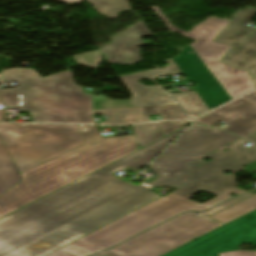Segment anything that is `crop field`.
Listing matches in <instances>:
<instances>
[{"label": "crop field", "instance_id": "eef30255", "mask_svg": "<svg viewBox=\"0 0 256 256\" xmlns=\"http://www.w3.org/2000/svg\"><path fill=\"white\" fill-rule=\"evenodd\" d=\"M219 256H256V252L236 251V252L219 254Z\"/></svg>", "mask_w": 256, "mask_h": 256}, {"label": "crop field", "instance_id": "d1516ede", "mask_svg": "<svg viewBox=\"0 0 256 256\" xmlns=\"http://www.w3.org/2000/svg\"><path fill=\"white\" fill-rule=\"evenodd\" d=\"M164 61H168V66L165 69H153L119 77L133 95L129 100L131 107L177 104L168 93H162L164 87L144 86L136 82L142 78L153 80L157 75L181 73L172 60Z\"/></svg>", "mask_w": 256, "mask_h": 256}, {"label": "crop field", "instance_id": "733c2abd", "mask_svg": "<svg viewBox=\"0 0 256 256\" xmlns=\"http://www.w3.org/2000/svg\"><path fill=\"white\" fill-rule=\"evenodd\" d=\"M96 114L104 113L108 118L103 120V124L125 125L142 122V107L122 108V109H104L95 110ZM112 114H116L113 116Z\"/></svg>", "mask_w": 256, "mask_h": 256}, {"label": "crop field", "instance_id": "f4fd0767", "mask_svg": "<svg viewBox=\"0 0 256 256\" xmlns=\"http://www.w3.org/2000/svg\"><path fill=\"white\" fill-rule=\"evenodd\" d=\"M202 210V204L171 193L48 256H88L184 211Z\"/></svg>", "mask_w": 256, "mask_h": 256}, {"label": "crop field", "instance_id": "5142ce71", "mask_svg": "<svg viewBox=\"0 0 256 256\" xmlns=\"http://www.w3.org/2000/svg\"><path fill=\"white\" fill-rule=\"evenodd\" d=\"M187 128V127H185ZM185 128L164 137L142 149L135 152L134 154L100 170L110 176L112 173L123 167H132L134 169H139L153 160L179 133H181Z\"/></svg>", "mask_w": 256, "mask_h": 256}, {"label": "crop field", "instance_id": "dd49c442", "mask_svg": "<svg viewBox=\"0 0 256 256\" xmlns=\"http://www.w3.org/2000/svg\"><path fill=\"white\" fill-rule=\"evenodd\" d=\"M0 136L19 172L85 144L78 126L0 123Z\"/></svg>", "mask_w": 256, "mask_h": 256}, {"label": "crop field", "instance_id": "4a817a6b", "mask_svg": "<svg viewBox=\"0 0 256 256\" xmlns=\"http://www.w3.org/2000/svg\"><path fill=\"white\" fill-rule=\"evenodd\" d=\"M171 94L187 112L190 118L198 117L209 111L196 91Z\"/></svg>", "mask_w": 256, "mask_h": 256}, {"label": "crop field", "instance_id": "e52e79f7", "mask_svg": "<svg viewBox=\"0 0 256 256\" xmlns=\"http://www.w3.org/2000/svg\"><path fill=\"white\" fill-rule=\"evenodd\" d=\"M191 125L150 167L158 176L149 186L179 188L189 183L186 164L238 139L229 133Z\"/></svg>", "mask_w": 256, "mask_h": 256}, {"label": "crop field", "instance_id": "cbeb9de0", "mask_svg": "<svg viewBox=\"0 0 256 256\" xmlns=\"http://www.w3.org/2000/svg\"><path fill=\"white\" fill-rule=\"evenodd\" d=\"M151 33L143 21L134 24L125 32L112 39L107 47L98 49L100 54L108 55V63L111 64H133L142 60L136 46L143 45L140 36H150Z\"/></svg>", "mask_w": 256, "mask_h": 256}, {"label": "crop field", "instance_id": "d8731c3e", "mask_svg": "<svg viewBox=\"0 0 256 256\" xmlns=\"http://www.w3.org/2000/svg\"><path fill=\"white\" fill-rule=\"evenodd\" d=\"M246 143L240 139L224 147L228 149L225 152L220 151L224 149L222 148L188 164L191 183L173 193L189 198L196 192L205 191L217 196L237 185L234 175L228 177L222 172L256 171V148L243 146ZM206 157L212 160L208 162L202 160ZM243 166L249 168L245 170L241 168Z\"/></svg>", "mask_w": 256, "mask_h": 256}, {"label": "crop field", "instance_id": "92a150f3", "mask_svg": "<svg viewBox=\"0 0 256 256\" xmlns=\"http://www.w3.org/2000/svg\"><path fill=\"white\" fill-rule=\"evenodd\" d=\"M160 114L166 119H187L178 105L143 107V122L150 121L149 115Z\"/></svg>", "mask_w": 256, "mask_h": 256}, {"label": "crop field", "instance_id": "4177f3b9", "mask_svg": "<svg viewBox=\"0 0 256 256\" xmlns=\"http://www.w3.org/2000/svg\"><path fill=\"white\" fill-rule=\"evenodd\" d=\"M245 192H247V191L240 190V189H237V188L234 187L231 190L225 192L224 194L216 197L215 199L204 203L203 205H204L205 209H208V208H210V207H212V206H214V205H216V204H218V203L228 199L229 195L232 194V193L240 195V194H243Z\"/></svg>", "mask_w": 256, "mask_h": 256}, {"label": "crop field", "instance_id": "bc2a9ffb", "mask_svg": "<svg viewBox=\"0 0 256 256\" xmlns=\"http://www.w3.org/2000/svg\"><path fill=\"white\" fill-rule=\"evenodd\" d=\"M256 209V194L239 202L238 204L225 209L213 216L211 218L225 224L239 216L249 213Z\"/></svg>", "mask_w": 256, "mask_h": 256}, {"label": "crop field", "instance_id": "750c4746", "mask_svg": "<svg viewBox=\"0 0 256 256\" xmlns=\"http://www.w3.org/2000/svg\"><path fill=\"white\" fill-rule=\"evenodd\" d=\"M67 3H82V0H60Z\"/></svg>", "mask_w": 256, "mask_h": 256}, {"label": "crop field", "instance_id": "8a807250", "mask_svg": "<svg viewBox=\"0 0 256 256\" xmlns=\"http://www.w3.org/2000/svg\"><path fill=\"white\" fill-rule=\"evenodd\" d=\"M99 171L0 220V256H43L160 197Z\"/></svg>", "mask_w": 256, "mask_h": 256}, {"label": "crop field", "instance_id": "214f88e0", "mask_svg": "<svg viewBox=\"0 0 256 256\" xmlns=\"http://www.w3.org/2000/svg\"><path fill=\"white\" fill-rule=\"evenodd\" d=\"M131 128L139 147H144L164 137L157 123L134 125Z\"/></svg>", "mask_w": 256, "mask_h": 256}, {"label": "crop field", "instance_id": "d3111659", "mask_svg": "<svg viewBox=\"0 0 256 256\" xmlns=\"http://www.w3.org/2000/svg\"><path fill=\"white\" fill-rule=\"evenodd\" d=\"M244 138L256 144V132H254Z\"/></svg>", "mask_w": 256, "mask_h": 256}, {"label": "crop field", "instance_id": "dafd665d", "mask_svg": "<svg viewBox=\"0 0 256 256\" xmlns=\"http://www.w3.org/2000/svg\"><path fill=\"white\" fill-rule=\"evenodd\" d=\"M94 5V10L112 18H117L116 12L125 11L132 8L128 2L120 0H83Z\"/></svg>", "mask_w": 256, "mask_h": 256}, {"label": "crop field", "instance_id": "ac0d7876", "mask_svg": "<svg viewBox=\"0 0 256 256\" xmlns=\"http://www.w3.org/2000/svg\"><path fill=\"white\" fill-rule=\"evenodd\" d=\"M87 144L21 172L24 180L0 196V218L137 150L133 135L99 138L79 126Z\"/></svg>", "mask_w": 256, "mask_h": 256}, {"label": "crop field", "instance_id": "bd1437ed", "mask_svg": "<svg viewBox=\"0 0 256 256\" xmlns=\"http://www.w3.org/2000/svg\"><path fill=\"white\" fill-rule=\"evenodd\" d=\"M3 114H4V111H1V110H0V121H1L2 118H3Z\"/></svg>", "mask_w": 256, "mask_h": 256}, {"label": "crop field", "instance_id": "34b2d1b8", "mask_svg": "<svg viewBox=\"0 0 256 256\" xmlns=\"http://www.w3.org/2000/svg\"><path fill=\"white\" fill-rule=\"evenodd\" d=\"M171 32L196 40L172 59L210 109L256 89L247 71L218 62L231 48L212 41L228 24L210 17L189 33L173 27L157 7L152 8ZM192 50L193 54L188 51Z\"/></svg>", "mask_w": 256, "mask_h": 256}, {"label": "crop field", "instance_id": "730fd06b", "mask_svg": "<svg viewBox=\"0 0 256 256\" xmlns=\"http://www.w3.org/2000/svg\"><path fill=\"white\" fill-rule=\"evenodd\" d=\"M252 194H253V193H249V194L240 196V197H238V198H236V199L227 201V202H225V203H222V204H220V205L214 207L213 209H211V210H209V211H207V212H208V214H209V216H210V215H212V214H214V213H216V212H219V211H221V210H223V209H225V208H227V207H229V206H231V205H233V204H235V203H237V202H239V201L245 199L246 197H248V196H250V195H252Z\"/></svg>", "mask_w": 256, "mask_h": 256}, {"label": "crop field", "instance_id": "a9b5d70f", "mask_svg": "<svg viewBox=\"0 0 256 256\" xmlns=\"http://www.w3.org/2000/svg\"><path fill=\"white\" fill-rule=\"evenodd\" d=\"M189 123L190 122H188V121H169V122L158 123V125L160 126V128L162 129L163 133L166 136L174 131H177V130L185 127Z\"/></svg>", "mask_w": 256, "mask_h": 256}, {"label": "crop field", "instance_id": "28ad6ade", "mask_svg": "<svg viewBox=\"0 0 256 256\" xmlns=\"http://www.w3.org/2000/svg\"><path fill=\"white\" fill-rule=\"evenodd\" d=\"M255 16L254 8L238 9L214 41L234 46L220 62L248 70L256 84V30L246 25Z\"/></svg>", "mask_w": 256, "mask_h": 256}, {"label": "crop field", "instance_id": "22f410ed", "mask_svg": "<svg viewBox=\"0 0 256 256\" xmlns=\"http://www.w3.org/2000/svg\"><path fill=\"white\" fill-rule=\"evenodd\" d=\"M220 120L229 125L224 130L244 137L256 131V106L241 98L197 122L212 125Z\"/></svg>", "mask_w": 256, "mask_h": 256}, {"label": "crop field", "instance_id": "ae1a2a85", "mask_svg": "<svg viewBox=\"0 0 256 256\" xmlns=\"http://www.w3.org/2000/svg\"><path fill=\"white\" fill-rule=\"evenodd\" d=\"M244 99L256 104V92L246 96V97H243Z\"/></svg>", "mask_w": 256, "mask_h": 256}, {"label": "crop field", "instance_id": "d9b57169", "mask_svg": "<svg viewBox=\"0 0 256 256\" xmlns=\"http://www.w3.org/2000/svg\"><path fill=\"white\" fill-rule=\"evenodd\" d=\"M22 179L0 138V195Z\"/></svg>", "mask_w": 256, "mask_h": 256}, {"label": "crop field", "instance_id": "412701ff", "mask_svg": "<svg viewBox=\"0 0 256 256\" xmlns=\"http://www.w3.org/2000/svg\"><path fill=\"white\" fill-rule=\"evenodd\" d=\"M2 79L18 84L0 89L6 106L30 111L34 121L93 124L91 95L74 85L69 71L41 78L33 69H8Z\"/></svg>", "mask_w": 256, "mask_h": 256}, {"label": "crop field", "instance_id": "5a996713", "mask_svg": "<svg viewBox=\"0 0 256 256\" xmlns=\"http://www.w3.org/2000/svg\"><path fill=\"white\" fill-rule=\"evenodd\" d=\"M222 225L209 218L207 212L199 216L185 213L104 253L109 256H160Z\"/></svg>", "mask_w": 256, "mask_h": 256}, {"label": "crop field", "instance_id": "00972430", "mask_svg": "<svg viewBox=\"0 0 256 256\" xmlns=\"http://www.w3.org/2000/svg\"><path fill=\"white\" fill-rule=\"evenodd\" d=\"M73 57L77 61L78 65L88 66L93 69H96L98 64L101 62L98 50L76 55Z\"/></svg>", "mask_w": 256, "mask_h": 256}, {"label": "crop field", "instance_id": "1d83c4d3", "mask_svg": "<svg viewBox=\"0 0 256 256\" xmlns=\"http://www.w3.org/2000/svg\"><path fill=\"white\" fill-rule=\"evenodd\" d=\"M95 256H103V255H101V254H98V255H95Z\"/></svg>", "mask_w": 256, "mask_h": 256}, {"label": "crop field", "instance_id": "3316defc", "mask_svg": "<svg viewBox=\"0 0 256 256\" xmlns=\"http://www.w3.org/2000/svg\"><path fill=\"white\" fill-rule=\"evenodd\" d=\"M242 243L256 246V210L163 256H218Z\"/></svg>", "mask_w": 256, "mask_h": 256}]
</instances>
